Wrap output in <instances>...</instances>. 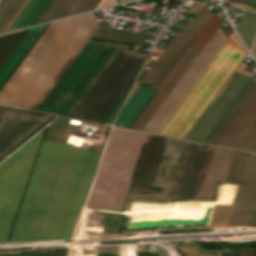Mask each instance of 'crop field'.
I'll return each mask as SVG.
<instances>
[{
  "mask_svg": "<svg viewBox=\"0 0 256 256\" xmlns=\"http://www.w3.org/2000/svg\"><path fill=\"white\" fill-rule=\"evenodd\" d=\"M43 132L0 164V241L7 239ZM99 156L44 140L9 241L70 238Z\"/></svg>",
  "mask_w": 256,
  "mask_h": 256,
  "instance_id": "8a807250",
  "label": "crop field"
},
{
  "mask_svg": "<svg viewBox=\"0 0 256 256\" xmlns=\"http://www.w3.org/2000/svg\"><path fill=\"white\" fill-rule=\"evenodd\" d=\"M89 40L37 111L112 124L147 55Z\"/></svg>",
  "mask_w": 256,
  "mask_h": 256,
  "instance_id": "ac0d7876",
  "label": "crop field"
},
{
  "mask_svg": "<svg viewBox=\"0 0 256 256\" xmlns=\"http://www.w3.org/2000/svg\"><path fill=\"white\" fill-rule=\"evenodd\" d=\"M98 26L93 12L50 23L0 90V104L36 111Z\"/></svg>",
  "mask_w": 256,
  "mask_h": 256,
  "instance_id": "34b2d1b8",
  "label": "crop field"
},
{
  "mask_svg": "<svg viewBox=\"0 0 256 256\" xmlns=\"http://www.w3.org/2000/svg\"><path fill=\"white\" fill-rule=\"evenodd\" d=\"M246 54L227 41L159 134L185 139ZM249 79L234 72L186 139L203 142Z\"/></svg>",
  "mask_w": 256,
  "mask_h": 256,
  "instance_id": "412701ff",
  "label": "crop field"
},
{
  "mask_svg": "<svg viewBox=\"0 0 256 256\" xmlns=\"http://www.w3.org/2000/svg\"><path fill=\"white\" fill-rule=\"evenodd\" d=\"M146 135L112 129L86 207L122 209Z\"/></svg>",
  "mask_w": 256,
  "mask_h": 256,
  "instance_id": "f4fd0767",
  "label": "crop field"
},
{
  "mask_svg": "<svg viewBox=\"0 0 256 256\" xmlns=\"http://www.w3.org/2000/svg\"><path fill=\"white\" fill-rule=\"evenodd\" d=\"M209 145L179 141L162 194H129L128 197H194L210 150Z\"/></svg>",
  "mask_w": 256,
  "mask_h": 256,
  "instance_id": "dd49c442",
  "label": "crop field"
},
{
  "mask_svg": "<svg viewBox=\"0 0 256 256\" xmlns=\"http://www.w3.org/2000/svg\"><path fill=\"white\" fill-rule=\"evenodd\" d=\"M225 42L226 38L219 28V30L144 128V132L157 134L160 131Z\"/></svg>",
  "mask_w": 256,
  "mask_h": 256,
  "instance_id": "e52e79f7",
  "label": "crop field"
},
{
  "mask_svg": "<svg viewBox=\"0 0 256 256\" xmlns=\"http://www.w3.org/2000/svg\"><path fill=\"white\" fill-rule=\"evenodd\" d=\"M178 141L148 134L133 178L163 186Z\"/></svg>",
  "mask_w": 256,
  "mask_h": 256,
  "instance_id": "d8731c3e",
  "label": "crop field"
},
{
  "mask_svg": "<svg viewBox=\"0 0 256 256\" xmlns=\"http://www.w3.org/2000/svg\"><path fill=\"white\" fill-rule=\"evenodd\" d=\"M52 118L0 107V158Z\"/></svg>",
  "mask_w": 256,
  "mask_h": 256,
  "instance_id": "5a996713",
  "label": "crop field"
},
{
  "mask_svg": "<svg viewBox=\"0 0 256 256\" xmlns=\"http://www.w3.org/2000/svg\"><path fill=\"white\" fill-rule=\"evenodd\" d=\"M197 56L189 50L184 52L129 128L142 131Z\"/></svg>",
  "mask_w": 256,
  "mask_h": 256,
  "instance_id": "3316defc",
  "label": "crop field"
},
{
  "mask_svg": "<svg viewBox=\"0 0 256 256\" xmlns=\"http://www.w3.org/2000/svg\"><path fill=\"white\" fill-rule=\"evenodd\" d=\"M234 151L212 146L195 197H212L217 181H224Z\"/></svg>",
  "mask_w": 256,
  "mask_h": 256,
  "instance_id": "28ad6ade",
  "label": "crop field"
},
{
  "mask_svg": "<svg viewBox=\"0 0 256 256\" xmlns=\"http://www.w3.org/2000/svg\"><path fill=\"white\" fill-rule=\"evenodd\" d=\"M212 12L205 6L194 19L179 33V35L164 50L161 56L153 63L150 70L141 82V85L150 87L161 69L164 67L171 55L195 32V30L206 20Z\"/></svg>",
  "mask_w": 256,
  "mask_h": 256,
  "instance_id": "d1516ede",
  "label": "crop field"
},
{
  "mask_svg": "<svg viewBox=\"0 0 256 256\" xmlns=\"http://www.w3.org/2000/svg\"><path fill=\"white\" fill-rule=\"evenodd\" d=\"M256 122V93L247 103L220 141L219 146L237 148Z\"/></svg>",
  "mask_w": 256,
  "mask_h": 256,
  "instance_id": "22f410ed",
  "label": "crop field"
},
{
  "mask_svg": "<svg viewBox=\"0 0 256 256\" xmlns=\"http://www.w3.org/2000/svg\"><path fill=\"white\" fill-rule=\"evenodd\" d=\"M100 1L101 0H51L33 25L62 16L95 9Z\"/></svg>",
  "mask_w": 256,
  "mask_h": 256,
  "instance_id": "cbeb9de0",
  "label": "crop field"
},
{
  "mask_svg": "<svg viewBox=\"0 0 256 256\" xmlns=\"http://www.w3.org/2000/svg\"><path fill=\"white\" fill-rule=\"evenodd\" d=\"M50 0H25L1 33L32 25Z\"/></svg>",
  "mask_w": 256,
  "mask_h": 256,
  "instance_id": "5142ce71",
  "label": "crop field"
},
{
  "mask_svg": "<svg viewBox=\"0 0 256 256\" xmlns=\"http://www.w3.org/2000/svg\"><path fill=\"white\" fill-rule=\"evenodd\" d=\"M45 26L46 24L29 29L13 52L9 55V57L0 67V86Z\"/></svg>",
  "mask_w": 256,
  "mask_h": 256,
  "instance_id": "d9b57169",
  "label": "crop field"
},
{
  "mask_svg": "<svg viewBox=\"0 0 256 256\" xmlns=\"http://www.w3.org/2000/svg\"><path fill=\"white\" fill-rule=\"evenodd\" d=\"M256 202V154L251 153L236 198ZM234 203L256 206V203L238 201Z\"/></svg>",
  "mask_w": 256,
  "mask_h": 256,
  "instance_id": "733c2abd",
  "label": "crop field"
},
{
  "mask_svg": "<svg viewBox=\"0 0 256 256\" xmlns=\"http://www.w3.org/2000/svg\"><path fill=\"white\" fill-rule=\"evenodd\" d=\"M155 90L140 86L119 116L118 126L128 128Z\"/></svg>",
  "mask_w": 256,
  "mask_h": 256,
  "instance_id": "4a817a6b",
  "label": "crop field"
},
{
  "mask_svg": "<svg viewBox=\"0 0 256 256\" xmlns=\"http://www.w3.org/2000/svg\"><path fill=\"white\" fill-rule=\"evenodd\" d=\"M255 91L256 83L253 82L249 89L246 91V93L243 95V97L240 99V101L237 103V105L234 107V109L231 111V113L227 116V118L209 140V144L215 145L217 143V141L227 130V128L230 126V124L233 122V120L236 118V116L239 114V112L242 110V108L245 106V104L248 102V100L251 98Z\"/></svg>",
  "mask_w": 256,
  "mask_h": 256,
  "instance_id": "bc2a9ffb",
  "label": "crop field"
},
{
  "mask_svg": "<svg viewBox=\"0 0 256 256\" xmlns=\"http://www.w3.org/2000/svg\"><path fill=\"white\" fill-rule=\"evenodd\" d=\"M236 29L250 49L256 36V15L244 11Z\"/></svg>",
  "mask_w": 256,
  "mask_h": 256,
  "instance_id": "214f88e0",
  "label": "crop field"
},
{
  "mask_svg": "<svg viewBox=\"0 0 256 256\" xmlns=\"http://www.w3.org/2000/svg\"><path fill=\"white\" fill-rule=\"evenodd\" d=\"M211 15L196 30V32L172 55V57L169 59V61L167 62L165 67L162 69V71L160 72V74L158 75L156 80L153 82L151 87H153V88H157L158 87V85L161 83V81L164 79V77L167 75V73L170 71V69L173 67V65L176 63V61L179 59V57L182 55V53L185 51V49L189 46V44L192 42V40L196 37V35L199 33V31L202 29V27L205 25V23L211 17Z\"/></svg>",
  "mask_w": 256,
  "mask_h": 256,
  "instance_id": "92a150f3",
  "label": "crop field"
},
{
  "mask_svg": "<svg viewBox=\"0 0 256 256\" xmlns=\"http://www.w3.org/2000/svg\"><path fill=\"white\" fill-rule=\"evenodd\" d=\"M27 30L0 36V66L12 52Z\"/></svg>",
  "mask_w": 256,
  "mask_h": 256,
  "instance_id": "dafd665d",
  "label": "crop field"
},
{
  "mask_svg": "<svg viewBox=\"0 0 256 256\" xmlns=\"http://www.w3.org/2000/svg\"><path fill=\"white\" fill-rule=\"evenodd\" d=\"M250 153L236 150L227 177L241 179Z\"/></svg>",
  "mask_w": 256,
  "mask_h": 256,
  "instance_id": "00972430",
  "label": "crop field"
},
{
  "mask_svg": "<svg viewBox=\"0 0 256 256\" xmlns=\"http://www.w3.org/2000/svg\"><path fill=\"white\" fill-rule=\"evenodd\" d=\"M22 2L23 0H0V31Z\"/></svg>",
  "mask_w": 256,
  "mask_h": 256,
  "instance_id": "a9b5d70f",
  "label": "crop field"
},
{
  "mask_svg": "<svg viewBox=\"0 0 256 256\" xmlns=\"http://www.w3.org/2000/svg\"><path fill=\"white\" fill-rule=\"evenodd\" d=\"M238 148L256 152V124L253 126Z\"/></svg>",
  "mask_w": 256,
  "mask_h": 256,
  "instance_id": "4177f3b9",
  "label": "crop field"
},
{
  "mask_svg": "<svg viewBox=\"0 0 256 256\" xmlns=\"http://www.w3.org/2000/svg\"><path fill=\"white\" fill-rule=\"evenodd\" d=\"M251 83L252 81L249 80V82L246 84V86L243 88V90L240 92V94L237 96V98L234 100V102L231 104V106L228 108V110L225 112V114L222 116V118L219 120V122L207 136V138L204 140L205 143H207V141L210 139V137L213 135V133L216 131V129L219 127V125L222 123V121L225 119V117L228 115V113L231 111V109L234 107V105L237 103V101L240 99V97L243 95V93L246 91V89L249 87Z\"/></svg>",
  "mask_w": 256,
  "mask_h": 256,
  "instance_id": "730fd06b",
  "label": "crop field"
},
{
  "mask_svg": "<svg viewBox=\"0 0 256 256\" xmlns=\"http://www.w3.org/2000/svg\"><path fill=\"white\" fill-rule=\"evenodd\" d=\"M240 256H255L254 248L239 249Z\"/></svg>",
  "mask_w": 256,
  "mask_h": 256,
  "instance_id": "eef30255",
  "label": "crop field"
},
{
  "mask_svg": "<svg viewBox=\"0 0 256 256\" xmlns=\"http://www.w3.org/2000/svg\"><path fill=\"white\" fill-rule=\"evenodd\" d=\"M240 8L242 9H245V10H249V11H252V12H255L256 13V9H253V8H250V7H247V6H244V5H240Z\"/></svg>",
  "mask_w": 256,
  "mask_h": 256,
  "instance_id": "ae1a2a85",
  "label": "crop field"
},
{
  "mask_svg": "<svg viewBox=\"0 0 256 256\" xmlns=\"http://www.w3.org/2000/svg\"><path fill=\"white\" fill-rule=\"evenodd\" d=\"M252 53H253V55L256 57V43H255V45H254V47H253V49H252Z\"/></svg>",
  "mask_w": 256,
  "mask_h": 256,
  "instance_id": "d3111659",
  "label": "crop field"
},
{
  "mask_svg": "<svg viewBox=\"0 0 256 256\" xmlns=\"http://www.w3.org/2000/svg\"><path fill=\"white\" fill-rule=\"evenodd\" d=\"M246 1H249V2H252V3L256 4V0H246Z\"/></svg>",
  "mask_w": 256,
  "mask_h": 256,
  "instance_id": "750c4746",
  "label": "crop field"
},
{
  "mask_svg": "<svg viewBox=\"0 0 256 256\" xmlns=\"http://www.w3.org/2000/svg\"><path fill=\"white\" fill-rule=\"evenodd\" d=\"M254 220H256V217H255V219Z\"/></svg>",
  "mask_w": 256,
  "mask_h": 256,
  "instance_id": "bd1437ed",
  "label": "crop field"
}]
</instances>
